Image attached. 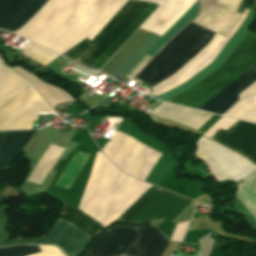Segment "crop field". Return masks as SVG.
<instances>
[{"instance_id":"obj_11","label":"crop field","mask_w":256,"mask_h":256,"mask_svg":"<svg viewBox=\"0 0 256 256\" xmlns=\"http://www.w3.org/2000/svg\"><path fill=\"white\" fill-rule=\"evenodd\" d=\"M136 235V229L133 227L112 226L93 243L85 256L123 255Z\"/></svg>"},{"instance_id":"obj_7","label":"crop field","mask_w":256,"mask_h":256,"mask_svg":"<svg viewBox=\"0 0 256 256\" xmlns=\"http://www.w3.org/2000/svg\"><path fill=\"white\" fill-rule=\"evenodd\" d=\"M185 200L152 186L119 220L138 224L152 219H166Z\"/></svg>"},{"instance_id":"obj_3","label":"crop field","mask_w":256,"mask_h":256,"mask_svg":"<svg viewBox=\"0 0 256 256\" xmlns=\"http://www.w3.org/2000/svg\"><path fill=\"white\" fill-rule=\"evenodd\" d=\"M157 7L153 3L129 0L91 42L86 38L63 55L99 70Z\"/></svg>"},{"instance_id":"obj_6","label":"crop field","mask_w":256,"mask_h":256,"mask_svg":"<svg viewBox=\"0 0 256 256\" xmlns=\"http://www.w3.org/2000/svg\"><path fill=\"white\" fill-rule=\"evenodd\" d=\"M204 159L210 167V172L218 179L223 178H242L255 166L248 162L242 156L201 137L197 142V151L195 153Z\"/></svg>"},{"instance_id":"obj_22","label":"crop field","mask_w":256,"mask_h":256,"mask_svg":"<svg viewBox=\"0 0 256 256\" xmlns=\"http://www.w3.org/2000/svg\"><path fill=\"white\" fill-rule=\"evenodd\" d=\"M24 51V55L32 58L33 60L46 65L48 64L51 60H53L54 58H56L57 54L50 52L48 50H45L31 42H29L23 49H21ZM31 59V60H32Z\"/></svg>"},{"instance_id":"obj_8","label":"crop field","mask_w":256,"mask_h":256,"mask_svg":"<svg viewBox=\"0 0 256 256\" xmlns=\"http://www.w3.org/2000/svg\"><path fill=\"white\" fill-rule=\"evenodd\" d=\"M38 111L52 110L30 85L0 110V130L30 129Z\"/></svg>"},{"instance_id":"obj_14","label":"crop field","mask_w":256,"mask_h":256,"mask_svg":"<svg viewBox=\"0 0 256 256\" xmlns=\"http://www.w3.org/2000/svg\"><path fill=\"white\" fill-rule=\"evenodd\" d=\"M138 236L125 256H161L168 245L166 236L151 224L137 227Z\"/></svg>"},{"instance_id":"obj_23","label":"crop field","mask_w":256,"mask_h":256,"mask_svg":"<svg viewBox=\"0 0 256 256\" xmlns=\"http://www.w3.org/2000/svg\"><path fill=\"white\" fill-rule=\"evenodd\" d=\"M40 252L38 246L19 245L0 249V256H26Z\"/></svg>"},{"instance_id":"obj_9","label":"crop field","mask_w":256,"mask_h":256,"mask_svg":"<svg viewBox=\"0 0 256 256\" xmlns=\"http://www.w3.org/2000/svg\"><path fill=\"white\" fill-rule=\"evenodd\" d=\"M248 11L249 9L245 8L244 12L240 16L239 20L237 21L227 38L215 34L211 41L186 66L180 69L172 77L152 87L151 89H153L154 91L150 92L149 94L158 95L162 92L170 90L190 79L196 73L200 72L203 68H205L209 63H211L216 55L219 53V51L222 49V47L230 39L231 35L238 29L239 25L244 20Z\"/></svg>"},{"instance_id":"obj_24","label":"crop field","mask_w":256,"mask_h":256,"mask_svg":"<svg viewBox=\"0 0 256 256\" xmlns=\"http://www.w3.org/2000/svg\"><path fill=\"white\" fill-rule=\"evenodd\" d=\"M128 0H116L114 3L112 9L109 11V13L106 15V17L103 19V21L99 24V26L93 30L90 35L87 37L88 40H92L96 34L109 22V20L122 8V6L127 2Z\"/></svg>"},{"instance_id":"obj_16","label":"crop field","mask_w":256,"mask_h":256,"mask_svg":"<svg viewBox=\"0 0 256 256\" xmlns=\"http://www.w3.org/2000/svg\"><path fill=\"white\" fill-rule=\"evenodd\" d=\"M35 131H0V170L22 150Z\"/></svg>"},{"instance_id":"obj_4","label":"crop field","mask_w":256,"mask_h":256,"mask_svg":"<svg viewBox=\"0 0 256 256\" xmlns=\"http://www.w3.org/2000/svg\"><path fill=\"white\" fill-rule=\"evenodd\" d=\"M213 35L192 23L187 24L135 78L151 86L159 83L195 56Z\"/></svg>"},{"instance_id":"obj_1","label":"crop field","mask_w":256,"mask_h":256,"mask_svg":"<svg viewBox=\"0 0 256 256\" xmlns=\"http://www.w3.org/2000/svg\"><path fill=\"white\" fill-rule=\"evenodd\" d=\"M46 1L0 0V28L14 32ZM114 1L49 0L24 27L14 33L62 54L98 26Z\"/></svg>"},{"instance_id":"obj_5","label":"crop field","mask_w":256,"mask_h":256,"mask_svg":"<svg viewBox=\"0 0 256 256\" xmlns=\"http://www.w3.org/2000/svg\"><path fill=\"white\" fill-rule=\"evenodd\" d=\"M256 64V35L248 34L229 59L220 67L241 75ZM218 68L201 82L168 102L197 109L239 75Z\"/></svg>"},{"instance_id":"obj_28","label":"crop field","mask_w":256,"mask_h":256,"mask_svg":"<svg viewBox=\"0 0 256 256\" xmlns=\"http://www.w3.org/2000/svg\"><path fill=\"white\" fill-rule=\"evenodd\" d=\"M241 119L256 122V107H254L251 111L245 114Z\"/></svg>"},{"instance_id":"obj_2","label":"crop field","mask_w":256,"mask_h":256,"mask_svg":"<svg viewBox=\"0 0 256 256\" xmlns=\"http://www.w3.org/2000/svg\"><path fill=\"white\" fill-rule=\"evenodd\" d=\"M149 187L97 152L78 209L107 228Z\"/></svg>"},{"instance_id":"obj_29","label":"crop field","mask_w":256,"mask_h":256,"mask_svg":"<svg viewBox=\"0 0 256 256\" xmlns=\"http://www.w3.org/2000/svg\"><path fill=\"white\" fill-rule=\"evenodd\" d=\"M251 183V185L256 189V169L249 173L245 178H243Z\"/></svg>"},{"instance_id":"obj_17","label":"crop field","mask_w":256,"mask_h":256,"mask_svg":"<svg viewBox=\"0 0 256 256\" xmlns=\"http://www.w3.org/2000/svg\"><path fill=\"white\" fill-rule=\"evenodd\" d=\"M30 84L0 65V109Z\"/></svg>"},{"instance_id":"obj_27","label":"crop field","mask_w":256,"mask_h":256,"mask_svg":"<svg viewBox=\"0 0 256 256\" xmlns=\"http://www.w3.org/2000/svg\"><path fill=\"white\" fill-rule=\"evenodd\" d=\"M220 117L213 115L211 118H209L202 127L197 131V133L203 134L216 120H218Z\"/></svg>"},{"instance_id":"obj_10","label":"crop field","mask_w":256,"mask_h":256,"mask_svg":"<svg viewBox=\"0 0 256 256\" xmlns=\"http://www.w3.org/2000/svg\"><path fill=\"white\" fill-rule=\"evenodd\" d=\"M212 139L256 163V125L238 121L227 131L219 128Z\"/></svg>"},{"instance_id":"obj_21","label":"crop field","mask_w":256,"mask_h":256,"mask_svg":"<svg viewBox=\"0 0 256 256\" xmlns=\"http://www.w3.org/2000/svg\"><path fill=\"white\" fill-rule=\"evenodd\" d=\"M237 200L256 222V190L245 181L238 184Z\"/></svg>"},{"instance_id":"obj_19","label":"crop field","mask_w":256,"mask_h":256,"mask_svg":"<svg viewBox=\"0 0 256 256\" xmlns=\"http://www.w3.org/2000/svg\"><path fill=\"white\" fill-rule=\"evenodd\" d=\"M0 63H2L1 59H0ZM12 70L17 72L21 76L27 78L52 108L54 107L55 104L64 103V102L73 100L63 91L51 85L44 84L43 82H41L40 80H38L37 78H35L34 76H32L30 73L26 71H23L17 67L12 68Z\"/></svg>"},{"instance_id":"obj_15","label":"crop field","mask_w":256,"mask_h":256,"mask_svg":"<svg viewBox=\"0 0 256 256\" xmlns=\"http://www.w3.org/2000/svg\"><path fill=\"white\" fill-rule=\"evenodd\" d=\"M247 31H243L238 29L232 36V38L228 41V43L223 47V49L220 51V53L217 55V57L214 59V61L209 64L205 69H203L200 73L196 74L194 77H192L190 80L186 81L185 83L181 84L180 86L167 91L163 94H160L156 96L155 98L161 99V100H168L169 98L185 91L186 89L192 87L197 82H199L201 79H203L205 76L210 74L212 71H214L218 66L226 59V57L234 50V48L238 45V43L247 35Z\"/></svg>"},{"instance_id":"obj_20","label":"crop field","mask_w":256,"mask_h":256,"mask_svg":"<svg viewBox=\"0 0 256 256\" xmlns=\"http://www.w3.org/2000/svg\"><path fill=\"white\" fill-rule=\"evenodd\" d=\"M198 6L199 0H197L145 53L153 57L177 31L196 16Z\"/></svg>"},{"instance_id":"obj_26","label":"crop field","mask_w":256,"mask_h":256,"mask_svg":"<svg viewBox=\"0 0 256 256\" xmlns=\"http://www.w3.org/2000/svg\"><path fill=\"white\" fill-rule=\"evenodd\" d=\"M151 57L145 56L138 64L137 66L127 75V77L132 78L149 60Z\"/></svg>"},{"instance_id":"obj_12","label":"crop field","mask_w":256,"mask_h":256,"mask_svg":"<svg viewBox=\"0 0 256 256\" xmlns=\"http://www.w3.org/2000/svg\"><path fill=\"white\" fill-rule=\"evenodd\" d=\"M90 239L72 224L58 219L55 227L43 239L34 244H55L67 256H74Z\"/></svg>"},{"instance_id":"obj_25","label":"crop field","mask_w":256,"mask_h":256,"mask_svg":"<svg viewBox=\"0 0 256 256\" xmlns=\"http://www.w3.org/2000/svg\"><path fill=\"white\" fill-rule=\"evenodd\" d=\"M42 252L30 256H64L57 247L39 246Z\"/></svg>"},{"instance_id":"obj_13","label":"crop field","mask_w":256,"mask_h":256,"mask_svg":"<svg viewBox=\"0 0 256 256\" xmlns=\"http://www.w3.org/2000/svg\"><path fill=\"white\" fill-rule=\"evenodd\" d=\"M256 80V65L202 105L199 110L224 114L235 102L238 94Z\"/></svg>"},{"instance_id":"obj_18","label":"crop field","mask_w":256,"mask_h":256,"mask_svg":"<svg viewBox=\"0 0 256 256\" xmlns=\"http://www.w3.org/2000/svg\"><path fill=\"white\" fill-rule=\"evenodd\" d=\"M59 218L72 223L77 228L89 235L93 240L102 229H105L89 216L72 206L64 205Z\"/></svg>"}]
</instances>
